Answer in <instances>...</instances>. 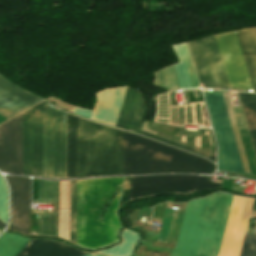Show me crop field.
<instances>
[{"label":"crop field","mask_w":256,"mask_h":256,"mask_svg":"<svg viewBox=\"0 0 256 256\" xmlns=\"http://www.w3.org/2000/svg\"><path fill=\"white\" fill-rule=\"evenodd\" d=\"M52 106L23 112L22 175L65 178L67 113Z\"/></svg>","instance_id":"1"},{"label":"crop field","mask_w":256,"mask_h":256,"mask_svg":"<svg viewBox=\"0 0 256 256\" xmlns=\"http://www.w3.org/2000/svg\"><path fill=\"white\" fill-rule=\"evenodd\" d=\"M71 241L76 243V181H71Z\"/></svg>","instance_id":"18"},{"label":"crop field","mask_w":256,"mask_h":256,"mask_svg":"<svg viewBox=\"0 0 256 256\" xmlns=\"http://www.w3.org/2000/svg\"><path fill=\"white\" fill-rule=\"evenodd\" d=\"M22 114L0 125V169L21 174Z\"/></svg>","instance_id":"10"},{"label":"crop field","mask_w":256,"mask_h":256,"mask_svg":"<svg viewBox=\"0 0 256 256\" xmlns=\"http://www.w3.org/2000/svg\"><path fill=\"white\" fill-rule=\"evenodd\" d=\"M221 92H203L218 145V170L247 174L242 171Z\"/></svg>","instance_id":"7"},{"label":"crop field","mask_w":256,"mask_h":256,"mask_svg":"<svg viewBox=\"0 0 256 256\" xmlns=\"http://www.w3.org/2000/svg\"><path fill=\"white\" fill-rule=\"evenodd\" d=\"M27 238L16 234H6L0 237V256H14L27 242Z\"/></svg>","instance_id":"17"},{"label":"crop field","mask_w":256,"mask_h":256,"mask_svg":"<svg viewBox=\"0 0 256 256\" xmlns=\"http://www.w3.org/2000/svg\"><path fill=\"white\" fill-rule=\"evenodd\" d=\"M124 177L99 178L77 181V244L89 249L117 242L120 228L116 210L119 194L109 207L105 219L98 221L103 205L122 185Z\"/></svg>","instance_id":"4"},{"label":"crop field","mask_w":256,"mask_h":256,"mask_svg":"<svg viewBox=\"0 0 256 256\" xmlns=\"http://www.w3.org/2000/svg\"><path fill=\"white\" fill-rule=\"evenodd\" d=\"M255 29V33H256V28H254Z\"/></svg>","instance_id":"24"},{"label":"crop field","mask_w":256,"mask_h":256,"mask_svg":"<svg viewBox=\"0 0 256 256\" xmlns=\"http://www.w3.org/2000/svg\"><path fill=\"white\" fill-rule=\"evenodd\" d=\"M88 254L54 240L31 239L17 256H82Z\"/></svg>","instance_id":"14"},{"label":"crop field","mask_w":256,"mask_h":256,"mask_svg":"<svg viewBox=\"0 0 256 256\" xmlns=\"http://www.w3.org/2000/svg\"><path fill=\"white\" fill-rule=\"evenodd\" d=\"M6 224H4L3 222L0 221V228H4Z\"/></svg>","instance_id":"22"},{"label":"crop field","mask_w":256,"mask_h":256,"mask_svg":"<svg viewBox=\"0 0 256 256\" xmlns=\"http://www.w3.org/2000/svg\"><path fill=\"white\" fill-rule=\"evenodd\" d=\"M123 131L68 113L66 178L122 175Z\"/></svg>","instance_id":"2"},{"label":"crop field","mask_w":256,"mask_h":256,"mask_svg":"<svg viewBox=\"0 0 256 256\" xmlns=\"http://www.w3.org/2000/svg\"><path fill=\"white\" fill-rule=\"evenodd\" d=\"M142 135H145V136H148V137H151V138H154V139H157V140H160V141H163L165 143H168V144H171V145H174V146H177V147H180V148H183V149H186V150H189L191 152H194V153H197V154H200L202 156H205L213 161H215V157L214 156H211L209 154H206V153H203L201 151H198V150H195L193 148H190V147H187L185 145H182V144H179L177 142H174V141H171V140H168V139H164V138H161V137H158V136H155V135H151V134H148V133H145L142 131L141 133Z\"/></svg>","instance_id":"20"},{"label":"crop field","mask_w":256,"mask_h":256,"mask_svg":"<svg viewBox=\"0 0 256 256\" xmlns=\"http://www.w3.org/2000/svg\"><path fill=\"white\" fill-rule=\"evenodd\" d=\"M252 210H256V199L254 200V205H253V209Z\"/></svg>","instance_id":"23"},{"label":"crop field","mask_w":256,"mask_h":256,"mask_svg":"<svg viewBox=\"0 0 256 256\" xmlns=\"http://www.w3.org/2000/svg\"><path fill=\"white\" fill-rule=\"evenodd\" d=\"M132 178H133V177H127V178H126L125 186H124L123 195H122V199H121V203H120L119 210H120V208H121L124 204H126V202H127V198H128V194H129V190H130Z\"/></svg>","instance_id":"21"},{"label":"crop field","mask_w":256,"mask_h":256,"mask_svg":"<svg viewBox=\"0 0 256 256\" xmlns=\"http://www.w3.org/2000/svg\"><path fill=\"white\" fill-rule=\"evenodd\" d=\"M193 155L124 131L123 175L192 173ZM214 164L194 155L193 173L211 174Z\"/></svg>","instance_id":"6"},{"label":"crop field","mask_w":256,"mask_h":256,"mask_svg":"<svg viewBox=\"0 0 256 256\" xmlns=\"http://www.w3.org/2000/svg\"><path fill=\"white\" fill-rule=\"evenodd\" d=\"M229 86L252 88L235 31L215 35ZM213 36L188 43L200 82L207 87H229Z\"/></svg>","instance_id":"5"},{"label":"crop field","mask_w":256,"mask_h":256,"mask_svg":"<svg viewBox=\"0 0 256 256\" xmlns=\"http://www.w3.org/2000/svg\"><path fill=\"white\" fill-rule=\"evenodd\" d=\"M256 153V95L239 93Z\"/></svg>","instance_id":"16"},{"label":"crop field","mask_w":256,"mask_h":256,"mask_svg":"<svg viewBox=\"0 0 256 256\" xmlns=\"http://www.w3.org/2000/svg\"><path fill=\"white\" fill-rule=\"evenodd\" d=\"M6 178L11 188L12 219L9 228L30 235V178Z\"/></svg>","instance_id":"11"},{"label":"crop field","mask_w":256,"mask_h":256,"mask_svg":"<svg viewBox=\"0 0 256 256\" xmlns=\"http://www.w3.org/2000/svg\"><path fill=\"white\" fill-rule=\"evenodd\" d=\"M236 32L252 83L253 91L256 92V36L254 29L251 28Z\"/></svg>","instance_id":"15"},{"label":"crop field","mask_w":256,"mask_h":256,"mask_svg":"<svg viewBox=\"0 0 256 256\" xmlns=\"http://www.w3.org/2000/svg\"><path fill=\"white\" fill-rule=\"evenodd\" d=\"M240 256H256V235H245Z\"/></svg>","instance_id":"19"},{"label":"crop field","mask_w":256,"mask_h":256,"mask_svg":"<svg viewBox=\"0 0 256 256\" xmlns=\"http://www.w3.org/2000/svg\"><path fill=\"white\" fill-rule=\"evenodd\" d=\"M232 197L216 193L187 203L177 244L170 256H217Z\"/></svg>","instance_id":"3"},{"label":"crop field","mask_w":256,"mask_h":256,"mask_svg":"<svg viewBox=\"0 0 256 256\" xmlns=\"http://www.w3.org/2000/svg\"><path fill=\"white\" fill-rule=\"evenodd\" d=\"M4 79L0 76V115L3 117L9 119L43 101Z\"/></svg>","instance_id":"12"},{"label":"crop field","mask_w":256,"mask_h":256,"mask_svg":"<svg viewBox=\"0 0 256 256\" xmlns=\"http://www.w3.org/2000/svg\"><path fill=\"white\" fill-rule=\"evenodd\" d=\"M144 105L145 99L142 93L127 87L115 126L138 133L142 123Z\"/></svg>","instance_id":"13"},{"label":"crop field","mask_w":256,"mask_h":256,"mask_svg":"<svg viewBox=\"0 0 256 256\" xmlns=\"http://www.w3.org/2000/svg\"><path fill=\"white\" fill-rule=\"evenodd\" d=\"M197 178L198 176L134 177L128 202L165 193H193ZM218 187H221V183H212L209 177L199 176L195 192Z\"/></svg>","instance_id":"8"},{"label":"crop field","mask_w":256,"mask_h":256,"mask_svg":"<svg viewBox=\"0 0 256 256\" xmlns=\"http://www.w3.org/2000/svg\"><path fill=\"white\" fill-rule=\"evenodd\" d=\"M253 200L251 198L233 197L218 256H239Z\"/></svg>","instance_id":"9"}]
</instances>
